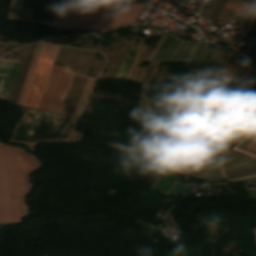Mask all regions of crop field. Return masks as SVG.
Returning <instances> with one entry per match:
<instances>
[{
  "instance_id": "crop-field-17",
  "label": "crop field",
  "mask_w": 256,
  "mask_h": 256,
  "mask_svg": "<svg viewBox=\"0 0 256 256\" xmlns=\"http://www.w3.org/2000/svg\"><path fill=\"white\" fill-rule=\"evenodd\" d=\"M256 161L253 160V159H249L247 160L246 162L240 164V165H237V166H234V167H231V168H227V169H224L223 171L226 172V171H232V170H236V169H240V168H244V167H247L249 165H252V164H255Z\"/></svg>"
},
{
  "instance_id": "crop-field-30",
  "label": "crop field",
  "mask_w": 256,
  "mask_h": 256,
  "mask_svg": "<svg viewBox=\"0 0 256 256\" xmlns=\"http://www.w3.org/2000/svg\"><path fill=\"white\" fill-rule=\"evenodd\" d=\"M186 175L195 176V175H191V174H187V173H186ZM195 177H200V176H195ZM200 178H204V179L211 180V181H224L223 179H211V178H205V177H200Z\"/></svg>"
},
{
  "instance_id": "crop-field-33",
  "label": "crop field",
  "mask_w": 256,
  "mask_h": 256,
  "mask_svg": "<svg viewBox=\"0 0 256 256\" xmlns=\"http://www.w3.org/2000/svg\"><path fill=\"white\" fill-rule=\"evenodd\" d=\"M255 21H256V18H251V19H250L249 24H248V28H247L246 31L249 30V27H250L251 23H253V25H254ZM253 25H252V27H253ZM252 27H251V29H252ZM251 29H250V31H251ZM250 31H249V32H250Z\"/></svg>"
},
{
  "instance_id": "crop-field-52",
  "label": "crop field",
  "mask_w": 256,
  "mask_h": 256,
  "mask_svg": "<svg viewBox=\"0 0 256 256\" xmlns=\"http://www.w3.org/2000/svg\"><path fill=\"white\" fill-rule=\"evenodd\" d=\"M192 170V169H191ZM200 171H204V170H200ZM209 172H216V171H209ZM218 173H222V172H218Z\"/></svg>"
},
{
  "instance_id": "crop-field-11",
  "label": "crop field",
  "mask_w": 256,
  "mask_h": 256,
  "mask_svg": "<svg viewBox=\"0 0 256 256\" xmlns=\"http://www.w3.org/2000/svg\"><path fill=\"white\" fill-rule=\"evenodd\" d=\"M42 45L43 44H41V43L37 44V47H36V50H35V53H34V56H33L29 71H28V74L26 76V79H25V82H24V85H23V88H22V91H21V94H20V97H19V100H18V103H17L19 105L22 104L25 92L27 90V87H28V84H29V81H30V78H31V75H32V72H33L34 66L36 64V61H37V58H38V55H39V52H40V49H41Z\"/></svg>"
},
{
  "instance_id": "crop-field-36",
  "label": "crop field",
  "mask_w": 256,
  "mask_h": 256,
  "mask_svg": "<svg viewBox=\"0 0 256 256\" xmlns=\"http://www.w3.org/2000/svg\"><path fill=\"white\" fill-rule=\"evenodd\" d=\"M249 119H250V117L240 126V128H242V127L245 125V123H246ZM251 121H252V120L250 119V120L247 122V124L243 127V129H245Z\"/></svg>"
},
{
  "instance_id": "crop-field-28",
  "label": "crop field",
  "mask_w": 256,
  "mask_h": 256,
  "mask_svg": "<svg viewBox=\"0 0 256 256\" xmlns=\"http://www.w3.org/2000/svg\"><path fill=\"white\" fill-rule=\"evenodd\" d=\"M244 116H245V115L243 114V115L239 118V120H238L233 126H236V125L241 121V119H242ZM247 117H248V116L246 115V116L242 119V121L237 125V127H239Z\"/></svg>"
},
{
  "instance_id": "crop-field-26",
  "label": "crop field",
  "mask_w": 256,
  "mask_h": 256,
  "mask_svg": "<svg viewBox=\"0 0 256 256\" xmlns=\"http://www.w3.org/2000/svg\"><path fill=\"white\" fill-rule=\"evenodd\" d=\"M231 182H256V178L243 179V180H235Z\"/></svg>"
},
{
  "instance_id": "crop-field-9",
  "label": "crop field",
  "mask_w": 256,
  "mask_h": 256,
  "mask_svg": "<svg viewBox=\"0 0 256 256\" xmlns=\"http://www.w3.org/2000/svg\"><path fill=\"white\" fill-rule=\"evenodd\" d=\"M251 7V4L227 0L218 19L223 21H232L235 15L247 16Z\"/></svg>"
},
{
  "instance_id": "crop-field-37",
  "label": "crop field",
  "mask_w": 256,
  "mask_h": 256,
  "mask_svg": "<svg viewBox=\"0 0 256 256\" xmlns=\"http://www.w3.org/2000/svg\"><path fill=\"white\" fill-rule=\"evenodd\" d=\"M176 173L185 174V169L176 168Z\"/></svg>"
},
{
  "instance_id": "crop-field-21",
  "label": "crop field",
  "mask_w": 256,
  "mask_h": 256,
  "mask_svg": "<svg viewBox=\"0 0 256 256\" xmlns=\"http://www.w3.org/2000/svg\"><path fill=\"white\" fill-rule=\"evenodd\" d=\"M207 98H208V95L204 96V98H203V100H202L200 106L198 107V109H197V111H196V113H195V115H194V118H196V117L200 114V112H201V110H202V108H203V106H204V104H205Z\"/></svg>"
},
{
  "instance_id": "crop-field-43",
  "label": "crop field",
  "mask_w": 256,
  "mask_h": 256,
  "mask_svg": "<svg viewBox=\"0 0 256 256\" xmlns=\"http://www.w3.org/2000/svg\"><path fill=\"white\" fill-rule=\"evenodd\" d=\"M187 171H190V170H187ZM190 172H198V171H190ZM198 173H205V172H198ZM206 174H212V173H206ZM213 175H220V174H213ZM223 176V175H221Z\"/></svg>"
},
{
  "instance_id": "crop-field-54",
  "label": "crop field",
  "mask_w": 256,
  "mask_h": 256,
  "mask_svg": "<svg viewBox=\"0 0 256 256\" xmlns=\"http://www.w3.org/2000/svg\"><path fill=\"white\" fill-rule=\"evenodd\" d=\"M239 114H240V113H239ZM239 114H238V115H239ZM237 117H238V116H237ZM237 117H236V118H237ZM236 118H235V119H236ZM235 119H234V121H235ZM234 121H233V122H234ZM233 122H232V123H233ZM232 123H231V125H232Z\"/></svg>"
},
{
  "instance_id": "crop-field-6",
  "label": "crop field",
  "mask_w": 256,
  "mask_h": 256,
  "mask_svg": "<svg viewBox=\"0 0 256 256\" xmlns=\"http://www.w3.org/2000/svg\"><path fill=\"white\" fill-rule=\"evenodd\" d=\"M72 73L68 67L53 66L38 108L60 111Z\"/></svg>"
},
{
  "instance_id": "crop-field-49",
  "label": "crop field",
  "mask_w": 256,
  "mask_h": 256,
  "mask_svg": "<svg viewBox=\"0 0 256 256\" xmlns=\"http://www.w3.org/2000/svg\"><path fill=\"white\" fill-rule=\"evenodd\" d=\"M255 95H256V93L253 95V97H254ZM253 97L250 99V101L253 99ZM250 101H249V102H250ZM249 102H248V103H249ZM248 103H247V104H248ZM246 106H247V105H246ZM246 106H245V107H246ZM245 107H244V108H245ZM243 110H244V109H243ZM243 110H242V111H243Z\"/></svg>"
},
{
  "instance_id": "crop-field-48",
  "label": "crop field",
  "mask_w": 256,
  "mask_h": 256,
  "mask_svg": "<svg viewBox=\"0 0 256 256\" xmlns=\"http://www.w3.org/2000/svg\"><path fill=\"white\" fill-rule=\"evenodd\" d=\"M256 99V98H255ZM256 103V100L253 102V104L250 106L249 110H251V108L254 106V104ZM248 110V109H247Z\"/></svg>"
},
{
  "instance_id": "crop-field-58",
  "label": "crop field",
  "mask_w": 256,
  "mask_h": 256,
  "mask_svg": "<svg viewBox=\"0 0 256 256\" xmlns=\"http://www.w3.org/2000/svg\"><path fill=\"white\" fill-rule=\"evenodd\" d=\"M95 1H101V0H95Z\"/></svg>"
},
{
  "instance_id": "crop-field-29",
  "label": "crop field",
  "mask_w": 256,
  "mask_h": 256,
  "mask_svg": "<svg viewBox=\"0 0 256 256\" xmlns=\"http://www.w3.org/2000/svg\"><path fill=\"white\" fill-rule=\"evenodd\" d=\"M249 56L256 58V42H255V44H254V46H253Z\"/></svg>"
},
{
  "instance_id": "crop-field-39",
  "label": "crop field",
  "mask_w": 256,
  "mask_h": 256,
  "mask_svg": "<svg viewBox=\"0 0 256 256\" xmlns=\"http://www.w3.org/2000/svg\"><path fill=\"white\" fill-rule=\"evenodd\" d=\"M255 4H256V2H255ZM255 4H254V6H255ZM254 6H253V8H254ZM253 8H252V10H253ZM252 10H251V12H250L249 16L251 15ZM255 14H256V6H255L254 11H253V13H252V15H251V16H255Z\"/></svg>"
},
{
  "instance_id": "crop-field-57",
  "label": "crop field",
  "mask_w": 256,
  "mask_h": 256,
  "mask_svg": "<svg viewBox=\"0 0 256 256\" xmlns=\"http://www.w3.org/2000/svg\"><path fill=\"white\" fill-rule=\"evenodd\" d=\"M256 171V170H255ZM255 171H252V172H255ZM249 173H251V172H249ZM246 174V173H245Z\"/></svg>"
},
{
  "instance_id": "crop-field-46",
  "label": "crop field",
  "mask_w": 256,
  "mask_h": 256,
  "mask_svg": "<svg viewBox=\"0 0 256 256\" xmlns=\"http://www.w3.org/2000/svg\"><path fill=\"white\" fill-rule=\"evenodd\" d=\"M235 154H236V153L233 152L229 157H227V158H225V159H223V160H221V161H224V160H226V159H228V158L234 156Z\"/></svg>"
},
{
  "instance_id": "crop-field-16",
  "label": "crop field",
  "mask_w": 256,
  "mask_h": 256,
  "mask_svg": "<svg viewBox=\"0 0 256 256\" xmlns=\"http://www.w3.org/2000/svg\"><path fill=\"white\" fill-rule=\"evenodd\" d=\"M249 135H250V134L247 133V134L245 135V137H244L239 143L236 144V146L240 147L241 144L246 140V138H247ZM238 147H235V146H234V147L232 148V150L237 151V152H240V153H242V154H244V155H247V156H249V157H252V158H255V159H256V154H255V153L247 152V151H245V150H243V149H241V148H238Z\"/></svg>"
},
{
  "instance_id": "crop-field-56",
  "label": "crop field",
  "mask_w": 256,
  "mask_h": 256,
  "mask_svg": "<svg viewBox=\"0 0 256 256\" xmlns=\"http://www.w3.org/2000/svg\"><path fill=\"white\" fill-rule=\"evenodd\" d=\"M254 232H255V237H256V229H254Z\"/></svg>"
},
{
  "instance_id": "crop-field-35",
  "label": "crop field",
  "mask_w": 256,
  "mask_h": 256,
  "mask_svg": "<svg viewBox=\"0 0 256 256\" xmlns=\"http://www.w3.org/2000/svg\"><path fill=\"white\" fill-rule=\"evenodd\" d=\"M192 166H210V167H221L220 165H204V164H191Z\"/></svg>"
},
{
  "instance_id": "crop-field-1",
  "label": "crop field",
  "mask_w": 256,
  "mask_h": 256,
  "mask_svg": "<svg viewBox=\"0 0 256 256\" xmlns=\"http://www.w3.org/2000/svg\"><path fill=\"white\" fill-rule=\"evenodd\" d=\"M33 172L34 156L0 144V224L19 222L26 217V196L31 192Z\"/></svg>"
},
{
  "instance_id": "crop-field-32",
  "label": "crop field",
  "mask_w": 256,
  "mask_h": 256,
  "mask_svg": "<svg viewBox=\"0 0 256 256\" xmlns=\"http://www.w3.org/2000/svg\"><path fill=\"white\" fill-rule=\"evenodd\" d=\"M188 173H190V172H188ZM192 174H196V175H200V176H205V177H212V178H223V177H220V176L204 175V174H198V173H192Z\"/></svg>"
},
{
  "instance_id": "crop-field-13",
  "label": "crop field",
  "mask_w": 256,
  "mask_h": 256,
  "mask_svg": "<svg viewBox=\"0 0 256 256\" xmlns=\"http://www.w3.org/2000/svg\"><path fill=\"white\" fill-rule=\"evenodd\" d=\"M176 38L172 37V36H167V38L165 39V41L162 43V45L160 46V48L158 49L157 53L155 54V56L153 57L152 61H162V59L164 58V56L166 55L167 51L169 50V48L171 47V45L173 44V42L175 41Z\"/></svg>"
},
{
  "instance_id": "crop-field-5",
  "label": "crop field",
  "mask_w": 256,
  "mask_h": 256,
  "mask_svg": "<svg viewBox=\"0 0 256 256\" xmlns=\"http://www.w3.org/2000/svg\"><path fill=\"white\" fill-rule=\"evenodd\" d=\"M57 46L43 45L37 65L35 67L31 82L29 84L26 96L24 98V106L38 107L44 87L46 85L49 73L51 71L54 59L56 57L54 48Z\"/></svg>"
},
{
  "instance_id": "crop-field-15",
  "label": "crop field",
  "mask_w": 256,
  "mask_h": 256,
  "mask_svg": "<svg viewBox=\"0 0 256 256\" xmlns=\"http://www.w3.org/2000/svg\"><path fill=\"white\" fill-rule=\"evenodd\" d=\"M247 66H248V63L242 61V63L240 64V66L238 67L236 72L234 73L230 83L239 82V80L242 78Z\"/></svg>"
},
{
  "instance_id": "crop-field-12",
  "label": "crop field",
  "mask_w": 256,
  "mask_h": 256,
  "mask_svg": "<svg viewBox=\"0 0 256 256\" xmlns=\"http://www.w3.org/2000/svg\"><path fill=\"white\" fill-rule=\"evenodd\" d=\"M141 43H139V45L137 47H134L132 46L131 50L129 51L127 57L125 58L123 64L121 65L119 71H118V74H117V77L116 78H125L126 77V74H127V71H128V68L130 66V63L132 61V59L134 58L135 54L137 53V51L134 50V48H138L140 47Z\"/></svg>"
},
{
  "instance_id": "crop-field-41",
  "label": "crop field",
  "mask_w": 256,
  "mask_h": 256,
  "mask_svg": "<svg viewBox=\"0 0 256 256\" xmlns=\"http://www.w3.org/2000/svg\"><path fill=\"white\" fill-rule=\"evenodd\" d=\"M253 137H254V135H251V136L249 137V139L244 143V145L242 146V148H243Z\"/></svg>"
},
{
  "instance_id": "crop-field-2",
  "label": "crop field",
  "mask_w": 256,
  "mask_h": 256,
  "mask_svg": "<svg viewBox=\"0 0 256 256\" xmlns=\"http://www.w3.org/2000/svg\"><path fill=\"white\" fill-rule=\"evenodd\" d=\"M79 118L28 108L10 141L67 140Z\"/></svg>"
},
{
  "instance_id": "crop-field-10",
  "label": "crop field",
  "mask_w": 256,
  "mask_h": 256,
  "mask_svg": "<svg viewBox=\"0 0 256 256\" xmlns=\"http://www.w3.org/2000/svg\"><path fill=\"white\" fill-rule=\"evenodd\" d=\"M177 39H178V38H177ZM177 39H176V41L174 42L173 46L171 47V49L169 50V52L167 53V55H166V57L164 58L163 61H165V59L167 58V56H168L169 53L171 52L172 48L174 47V45H175L176 42H177ZM179 40H180V39H179ZM179 40H178L177 44L179 43ZM180 43H181V41H180ZM180 43L178 44V46L180 45ZM177 44L175 45V47L177 46ZM182 44H183V42L181 43V45L179 46V48H178V46L176 47V49L178 48L177 51H176L175 47L173 48V50H174V49H175V50H174V52H173V50H172V52H173V53L171 52L172 55H171V53H170L171 57L173 56V54L175 53V51H176V53L174 54V56L172 57V59L175 57V55L177 54V52H178V50L180 49V47L182 46ZM200 44H201V43H194V45H193V43L184 42L183 46L181 47V49L179 50L178 54H177L176 57L173 59V61H184L186 55L188 54L189 50L191 49V47H192V45H193L192 49L190 50L189 54L187 55V57H186V59H185V61H192V59H193L194 55L196 54V52H197V50H198ZM170 55H169V56H170ZM169 56H168V58H169ZM171 57H170V59H171ZM168 58L166 59V61L168 60ZM170 59H169V61H170ZM172 59H171V61H172Z\"/></svg>"
},
{
  "instance_id": "crop-field-38",
  "label": "crop field",
  "mask_w": 256,
  "mask_h": 256,
  "mask_svg": "<svg viewBox=\"0 0 256 256\" xmlns=\"http://www.w3.org/2000/svg\"><path fill=\"white\" fill-rule=\"evenodd\" d=\"M177 156H197V155H177ZM198 156H212L210 154H200Z\"/></svg>"
},
{
  "instance_id": "crop-field-7",
  "label": "crop field",
  "mask_w": 256,
  "mask_h": 256,
  "mask_svg": "<svg viewBox=\"0 0 256 256\" xmlns=\"http://www.w3.org/2000/svg\"><path fill=\"white\" fill-rule=\"evenodd\" d=\"M88 2L64 0L52 26L75 29Z\"/></svg>"
},
{
  "instance_id": "crop-field-51",
  "label": "crop field",
  "mask_w": 256,
  "mask_h": 256,
  "mask_svg": "<svg viewBox=\"0 0 256 256\" xmlns=\"http://www.w3.org/2000/svg\"><path fill=\"white\" fill-rule=\"evenodd\" d=\"M255 31H256V24H255V27H254V29H253V31H252V32H254V33H255Z\"/></svg>"
},
{
  "instance_id": "crop-field-44",
  "label": "crop field",
  "mask_w": 256,
  "mask_h": 256,
  "mask_svg": "<svg viewBox=\"0 0 256 256\" xmlns=\"http://www.w3.org/2000/svg\"><path fill=\"white\" fill-rule=\"evenodd\" d=\"M255 107H256V105L253 107V109H254ZM253 109H252V111H253ZM254 112H256V108L254 109ZM252 117L255 118V117H256V113H254Z\"/></svg>"
},
{
  "instance_id": "crop-field-19",
  "label": "crop field",
  "mask_w": 256,
  "mask_h": 256,
  "mask_svg": "<svg viewBox=\"0 0 256 256\" xmlns=\"http://www.w3.org/2000/svg\"><path fill=\"white\" fill-rule=\"evenodd\" d=\"M255 169H256V164L253 165V166H250V167H248V168H245V169H243V170H239V171L227 173V174H225V175L232 174V173H236V172H240V171H243V172L245 173V172H249V171H252V170H255ZM241 173H242V172L236 173V174H232V175H237V174H241ZM232 175H228V176H232ZM228 176H226V177H228Z\"/></svg>"
},
{
  "instance_id": "crop-field-55",
  "label": "crop field",
  "mask_w": 256,
  "mask_h": 256,
  "mask_svg": "<svg viewBox=\"0 0 256 256\" xmlns=\"http://www.w3.org/2000/svg\"><path fill=\"white\" fill-rule=\"evenodd\" d=\"M256 131V128L252 131V133H254Z\"/></svg>"
},
{
  "instance_id": "crop-field-24",
  "label": "crop field",
  "mask_w": 256,
  "mask_h": 256,
  "mask_svg": "<svg viewBox=\"0 0 256 256\" xmlns=\"http://www.w3.org/2000/svg\"><path fill=\"white\" fill-rule=\"evenodd\" d=\"M245 19H246V17H243V18H242L241 23H240V25H239V27H238L237 31L239 30V28H241V27H242V25H243V23H244ZM249 19H250V18H247V20H246V22H245V24H244L243 28H246V26H247V24H248Z\"/></svg>"
},
{
  "instance_id": "crop-field-45",
  "label": "crop field",
  "mask_w": 256,
  "mask_h": 256,
  "mask_svg": "<svg viewBox=\"0 0 256 256\" xmlns=\"http://www.w3.org/2000/svg\"><path fill=\"white\" fill-rule=\"evenodd\" d=\"M230 147H231V145H228L226 148H224V149L222 150V152H225V151L228 150Z\"/></svg>"
},
{
  "instance_id": "crop-field-23",
  "label": "crop field",
  "mask_w": 256,
  "mask_h": 256,
  "mask_svg": "<svg viewBox=\"0 0 256 256\" xmlns=\"http://www.w3.org/2000/svg\"><path fill=\"white\" fill-rule=\"evenodd\" d=\"M236 36H237V34H234L231 39L224 38L223 42L228 43V44H233Z\"/></svg>"
},
{
  "instance_id": "crop-field-47",
  "label": "crop field",
  "mask_w": 256,
  "mask_h": 256,
  "mask_svg": "<svg viewBox=\"0 0 256 256\" xmlns=\"http://www.w3.org/2000/svg\"><path fill=\"white\" fill-rule=\"evenodd\" d=\"M102 1L119 2L120 0H102Z\"/></svg>"
},
{
  "instance_id": "crop-field-3",
  "label": "crop field",
  "mask_w": 256,
  "mask_h": 256,
  "mask_svg": "<svg viewBox=\"0 0 256 256\" xmlns=\"http://www.w3.org/2000/svg\"><path fill=\"white\" fill-rule=\"evenodd\" d=\"M145 5L88 3L76 29L109 30L133 24Z\"/></svg>"
},
{
  "instance_id": "crop-field-31",
  "label": "crop field",
  "mask_w": 256,
  "mask_h": 256,
  "mask_svg": "<svg viewBox=\"0 0 256 256\" xmlns=\"http://www.w3.org/2000/svg\"><path fill=\"white\" fill-rule=\"evenodd\" d=\"M240 157H242V156L237 154V155L234 156L232 159L223 162L222 165H223V164H226V163H229V162H232V161H234V160H236V159H238V158H240Z\"/></svg>"
},
{
  "instance_id": "crop-field-4",
  "label": "crop field",
  "mask_w": 256,
  "mask_h": 256,
  "mask_svg": "<svg viewBox=\"0 0 256 256\" xmlns=\"http://www.w3.org/2000/svg\"><path fill=\"white\" fill-rule=\"evenodd\" d=\"M63 0H13L9 18L52 25Z\"/></svg>"
},
{
  "instance_id": "crop-field-22",
  "label": "crop field",
  "mask_w": 256,
  "mask_h": 256,
  "mask_svg": "<svg viewBox=\"0 0 256 256\" xmlns=\"http://www.w3.org/2000/svg\"><path fill=\"white\" fill-rule=\"evenodd\" d=\"M247 159H248V157L244 156V157L240 158L239 160H237L236 162H234V163H232V164L224 165V166H222V167L225 168V167L237 165V164H239V163H241V162H243V161H245V160H247Z\"/></svg>"
},
{
  "instance_id": "crop-field-50",
  "label": "crop field",
  "mask_w": 256,
  "mask_h": 256,
  "mask_svg": "<svg viewBox=\"0 0 256 256\" xmlns=\"http://www.w3.org/2000/svg\"><path fill=\"white\" fill-rule=\"evenodd\" d=\"M255 120H256V118H255ZM254 122V121H253ZM253 122L246 128V130H248V128L253 124Z\"/></svg>"
},
{
  "instance_id": "crop-field-14",
  "label": "crop field",
  "mask_w": 256,
  "mask_h": 256,
  "mask_svg": "<svg viewBox=\"0 0 256 256\" xmlns=\"http://www.w3.org/2000/svg\"><path fill=\"white\" fill-rule=\"evenodd\" d=\"M251 64L249 65L248 69L246 70L241 82L238 84V86L236 87V89L233 91V93L230 95V97L228 98L227 102L225 103V105L222 107V109L220 110L219 114L217 115V117L215 118V120H218V118L221 116V114L223 113V111L225 110V108L228 106V104L230 103V101L233 99V97L235 96L236 92L238 91V89L240 88L241 84L243 83L244 79L246 78L247 74L249 73L250 69H251Z\"/></svg>"
},
{
  "instance_id": "crop-field-8",
  "label": "crop field",
  "mask_w": 256,
  "mask_h": 256,
  "mask_svg": "<svg viewBox=\"0 0 256 256\" xmlns=\"http://www.w3.org/2000/svg\"><path fill=\"white\" fill-rule=\"evenodd\" d=\"M19 62L0 59V75L3 76L0 84V97L5 100L7 99Z\"/></svg>"
},
{
  "instance_id": "crop-field-25",
  "label": "crop field",
  "mask_w": 256,
  "mask_h": 256,
  "mask_svg": "<svg viewBox=\"0 0 256 256\" xmlns=\"http://www.w3.org/2000/svg\"><path fill=\"white\" fill-rule=\"evenodd\" d=\"M199 158H208V157H178L177 160H188V159L199 160Z\"/></svg>"
},
{
  "instance_id": "crop-field-27",
  "label": "crop field",
  "mask_w": 256,
  "mask_h": 256,
  "mask_svg": "<svg viewBox=\"0 0 256 256\" xmlns=\"http://www.w3.org/2000/svg\"><path fill=\"white\" fill-rule=\"evenodd\" d=\"M182 168H192V169H204V170H216V171H221V169L203 168V167H182Z\"/></svg>"
},
{
  "instance_id": "crop-field-34",
  "label": "crop field",
  "mask_w": 256,
  "mask_h": 256,
  "mask_svg": "<svg viewBox=\"0 0 256 256\" xmlns=\"http://www.w3.org/2000/svg\"><path fill=\"white\" fill-rule=\"evenodd\" d=\"M246 134V132H241L238 136H237V138L232 142V144H234L236 141H238L243 135H245ZM237 143V142H236Z\"/></svg>"
},
{
  "instance_id": "crop-field-18",
  "label": "crop field",
  "mask_w": 256,
  "mask_h": 256,
  "mask_svg": "<svg viewBox=\"0 0 256 256\" xmlns=\"http://www.w3.org/2000/svg\"><path fill=\"white\" fill-rule=\"evenodd\" d=\"M256 91V83L255 85L252 87V89L249 91V93L247 94V96L244 98V100L242 101V103L238 106V108L242 109L243 106L247 103V101L251 98V96L255 93Z\"/></svg>"
},
{
  "instance_id": "crop-field-53",
  "label": "crop field",
  "mask_w": 256,
  "mask_h": 256,
  "mask_svg": "<svg viewBox=\"0 0 256 256\" xmlns=\"http://www.w3.org/2000/svg\"><path fill=\"white\" fill-rule=\"evenodd\" d=\"M252 174V173H251ZM246 175H249V174H246ZM242 176H245V175H242ZM238 177H241V176H238ZM234 178H236V177H234ZM229 179H231V178H229Z\"/></svg>"
},
{
  "instance_id": "crop-field-40",
  "label": "crop field",
  "mask_w": 256,
  "mask_h": 256,
  "mask_svg": "<svg viewBox=\"0 0 256 256\" xmlns=\"http://www.w3.org/2000/svg\"><path fill=\"white\" fill-rule=\"evenodd\" d=\"M228 151H229V150H228ZM230 153H232V152L229 151V152L225 153L224 155L220 156V159L225 158V157L228 156Z\"/></svg>"
},
{
  "instance_id": "crop-field-20",
  "label": "crop field",
  "mask_w": 256,
  "mask_h": 256,
  "mask_svg": "<svg viewBox=\"0 0 256 256\" xmlns=\"http://www.w3.org/2000/svg\"><path fill=\"white\" fill-rule=\"evenodd\" d=\"M246 150H249V151H252V152H256V136L251 141V143L247 146Z\"/></svg>"
},
{
  "instance_id": "crop-field-42",
  "label": "crop field",
  "mask_w": 256,
  "mask_h": 256,
  "mask_svg": "<svg viewBox=\"0 0 256 256\" xmlns=\"http://www.w3.org/2000/svg\"><path fill=\"white\" fill-rule=\"evenodd\" d=\"M241 36H242V34H239V35H238V37H237V39H236V41H235V43H234V44H236V45L238 44V42H239V40H240Z\"/></svg>"
}]
</instances>
